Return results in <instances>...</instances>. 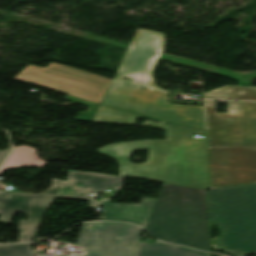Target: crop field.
<instances>
[{
	"instance_id": "1",
	"label": "crop field",
	"mask_w": 256,
	"mask_h": 256,
	"mask_svg": "<svg viewBox=\"0 0 256 256\" xmlns=\"http://www.w3.org/2000/svg\"><path fill=\"white\" fill-rule=\"evenodd\" d=\"M163 50V33L138 29L101 104L204 129L202 106L170 105L167 91L156 87L153 71Z\"/></svg>"
},
{
	"instance_id": "2",
	"label": "crop field",
	"mask_w": 256,
	"mask_h": 256,
	"mask_svg": "<svg viewBox=\"0 0 256 256\" xmlns=\"http://www.w3.org/2000/svg\"><path fill=\"white\" fill-rule=\"evenodd\" d=\"M169 140H144L119 143L98 149L120 165V176L210 189L206 130L167 122ZM204 138H194L193 135ZM149 150L148 163L132 164L133 151Z\"/></svg>"
},
{
	"instance_id": "3",
	"label": "crop field",
	"mask_w": 256,
	"mask_h": 256,
	"mask_svg": "<svg viewBox=\"0 0 256 256\" xmlns=\"http://www.w3.org/2000/svg\"><path fill=\"white\" fill-rule=\"evenodd\" d=\"M145 228L162 241L211 252L206 190L162 183Z\"/></svg>"
},
{
	"instance_id": "4",
	"label": "crop field",
	"mask_w": 256,
	"mask_h": 256,
	"mask_svg": "<svg viewBox=\"0 0 256 256\" xmlns=\"http://www.w3.org/2000/svg\"><path fill=\"white\" fill-rule=\"evenodd\" d=\"M211 221L223 233L217 241L224 252L256 251V184L209 190Z\"/></svg>"
},
{
	"instance_id": "5",
	"label": "crop field",
	"mask_w": 256,
	"mask_h": 256,
	"mask_svg": "<svg viewBox=\"0 0 256 256\" xmlns=\"http://www.w3.org/2000/svg\"><path fill=\"white\" fill-rule=\"evenodd\" d=\"M221 102L228 114L216 113V101L205 100L208 147H256V103Z\"/></svg>"
},
{
	"instance_id": "6",
	"label": "crop field",
	"mask_w": 256,
	"mask_h": 256,
	"mask_svg": "<svg viewBox=\"0 0 256 256\" xmlns=\"http://www.w3.org/2000/svg\"><path fill=\"white\" fill-rule=\"evenodd\" d=\"M142 231L126 223H86L76 245L105 256H133Z\"/></svg>"
},
{
	"instance_id": "7",
	"label": "crop field",
	"mask_w": 256,
	"mask_h": 256,
	"mask_svg": "<svg viewBox=\"0 0 256 256\" xmlns=\"http://www.w3.org/2000/svg\"><path fill=\"white\" fill-rule=\"evenodd\" d=\"M212 189L256 183V148H209Z\"/></svg>"
},
{
	"instance_id": "8",
	"label": "crop field",
	"mask_w": 256,
	"mask_h": 256,
	"mask_svg": "<svg viewBox=\"0 0 256 256\" xmlns=\"http://www.w3.org/2000/svg\"><path fill=\"white\" fill-rule=\"evenodd\" d=\"M52 183L53 186L43 194H18L15 201L6 199L8 192H0V214H2L0 221L11 222L17 211L29 216L27 221L19 223V231H21L19 242L33 240L61 181L53 179Z\"/></svg>"
},
{
	"instance_id": "9",
	"label": "crop field",
	"mask_w": 256,
	"mask_h": 256,
	"mask_svg": "<svg viewBox=\"0 0 256 256\" xmlns=\"http://www.w3.org/2000/svg\"><path fill=\"white\" fill-rule=\"evenodd\" d=\"M124 177L89 172H68V181H63L56 196L60 198L89 200V208H95L89 193H99L106 189L121 191Z\"/></svg>"
},
{
	"instance_id": "10",
	"label": "crop field",
	"mask_w": 256,
	"mask_h": 256,
	"mask_svg": "<svg viewBox=\"0 0 256 256\" xmlns=\"http://www.w3.org/2000/svg\"><path fill=\"white\" fill-rule=\"evenodd\" d=\"M112 200L97 201L98 206L104 207L101 220L128 221L144 227L156 199L143 198L141 204H112Z\"/></svg>"
},
{
	"instance_id": "11",
	"label": "crop field",
	"mask_w": 256,
	"mask_h": 256,
	"mask_svg": "<svg viewBox=\"0 0 256 256\" xmlns=\"http://www.w3.org/2000/svg\"><path fill=\"white\" fill-rule=\"evenodd\" d=\"M139 117H146V116H142V115H138V114H134V113H130V112H126V111H122V110H118V109L100 105L98 108V111L94 117L93 122L139 125V124L133 123ZM146 118L158 120V119H154V118H150V117H146ZM159 121H162V120H159ZM139 126H151V127L160 128V129L165 130L164 121H162V123L146 121L143 125H139Z\"/></svg>"
},
{
	"instance_id": "12",
	"label": "crop field",
	"mask_w": 256,
	"mask_h": 256,
	"mask_svg": "<svg viewBox=\"0 0 256 256\" xmlns=\"http://www.w3.org/2000/svg\"><path fill=\"white\" fill-rule=\"evenodd\" d=\"M134 256H211V254L158 242L154 244L140 242Z\"/></svg>"
},
{
	"instance_id": "13",
	"label": "crop field",
	"mask_w": 256,
	"mask_h": 256,
	"mask_svg": "<svg viewBox=\"0 0 256 256\" xmlns=\"http://www.w3.org/2000/svg\"><path fill=\"white\" fill-rule=\"evenodd\" d=\"M38 158L35 149L25 146L16 147L9 158L0 167V173L7 168H15L24 165L43 167L46 162Z\"/></svg>"
},
{
	"instance_id": "14",
	"label": "crop field",
	"mask_w": 256,
	"mask_h": 256,
	"mask_svg": "<svg viewBox=\"0 0 256 256\" xmlns=\"http://www.w3.org/2000/svg\"><path fill=\"white\" fill-rule=\"evenodd\" d=\"M230 89V91H227ZM243 92V94H239ZM205 98L256 100V88L251 87H224L205 94Z\"/></svg>"
},
{
	"instance_id": "15",
	"label": "crop field",
	"mask_w": 256,
	"mask_h": 256,
	"mask_svg": "<svg viewBox=\"0 0 256 256\" xmlns=\"http://www.w3.org/2000/svg\"><path fill=\"white\" fill-rule=\"evenodd\" d=\"M0 256H32L31 244L0 246Z\"/></svg>"
},
{
	"instance_id": "16",
	"label": "crop field",
	"mask_w": 256,
	"mask_h": 256,
	"mask_svg": "<svg viewBox=\"0 0 256 256\" xmlns=\"http://www.w3.org/2000/svg\"><path fill=\"white\" fill-rule=\"evenodd\" d=\"M67 99L89 106L86 113H84V112L78 113L75 120L87 121V122L92 121V119H93V117H94V115L97 111V108L99 106L98 104H95V103H92V102H89V101H86V100H82V99H79V98H76V97H73V96H70V95H68ZM83 115H85L84 118H83Z\"/></svg>"
},
{
	"instance_id": "17",
	"label": "crop field",
	"mask_w": 256,
	"mask_h": 256,
	"mask_svg": "<svg viewBox=\"0 0 256 256\" xmlns=\"http://www.w3.org/2000/svg\"><path fill=\"white\" fill-rule=\"evenodd\" d=\"M84 252H86V256H104L100 253H97V252H94V251H91V250H88V249H85L84 248ZM39 256H44V254H38ZM54 256H65V255H55Z\"/></svg>"
},
{
	"instance_id": "18",
	"label": "crop field",
	"mask_w": 256,
	"mask_h": 256,
	"mask_svg": "<svg viewBox=\"0 0 256 256\" xmlns=\"http://www.w3.org/2000/svg\"><path fill=\"white\" fill-rule=\"evenodd\" d=\"M9 150L10 149L4 150V151H0V162L5 157V155L9 152Z\"/></svg>"
},
{
	"instance_id": "19",
	"label": "crop field",
	"mask_w": 256,
	"mask_h": 256,
	"mask_svg": "<svg viewBox=\"0 0 256 256\" xmlns=\"http://www.w3.org/2000/svg\"><path fill=\"white\" fill-rule=\"evenodd\" d=\"M16 196H17V194L9 193V195L7 196V198L14 200V199L16 198Z\"/></svg>"
}]
</instances>
